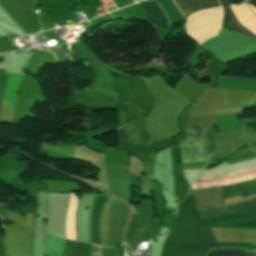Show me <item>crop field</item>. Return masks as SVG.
I'll return each instance as SVG.
<instances>
[{
    "label": "crop field",
    "instance_id": "8a807250",
    "mask_svg": "<svg viewBox=\"0 0 256 256\" xmlns=\"http://www.w3.org/2000/svg\"><path fill=\"white\" fill-rule=\"evenodd\" d=\"M179 147L183 163L206 161L215 151L214 127L187 129Z\"/></svg>",
    "mask_w": 256,
    "mask_h": 256
},
{
    "label": "crop field",
    "instance_id": "e52e79f7",
    "mask_svg": "<svg viewBox=\"0 0 256 256\" xmlns=\"http://www.w3.org/2000/svg\"><path fill=\"white\" fill-rule=\"evenodd\" d=\"M220 1V0H219ZM228 13L230 14L233 22L236 24L237 27H239L241 30H243L245 33H247L248 35L250 36H253L256 38V36H254L252 33H250L248 30H246L244 27H242L236 20V18L234 17L232 11L230 10L227 2L225 0H222ZM222 1H220L221 5H222V9H223V19H222V25L221 27L224 28V29H227V30H231V31H235V32H239V33H243L245 34L244 32H242L240 29H238L234 23L232 22L229 14L227 13Z\"/></svg>",
    "mask_w": 256,
    "mask_h": 256
},
{
    "label": "crop field",
    "instance_id": "22f410ed",
    "mask_svg": "<svg viewBox=\"0 0 256 256\" xmlns=\"http://www.w3.org/2000/svg\"><path fill=\"white\" fill-rule=\"evenodd\" d=\"M174 2V1H173ZM175 3V2H174ZM176 5V4H175ZM178 8V7H177ZM181 13V12H180ZM184 17V16H183Z\"/></svg>",
    "mask_w": 256,
    "mask_h": 256
},
{
    "label": "crop field",
    "instance_id": "ac0d7876",
    "mask_svg": "<svg viewBox=\"0 0 256 256\" xmlns=\"http://www.w3.org/2000/svg\"><path fill=\"white\" fill-rule=\"evenodd\" d=\"M125 103L133 120V123L120 127L123 141L130 143H139L143 145H152L139 106L136 103Z\"/></svg>",
    "mask_w": 256,
    "mask_h": 256
},
{
    "label": "crop field",
    "instance_id": "5a996713",
    "mask_svg": "<svg viewBox=\"0 0 256 256\" xmlns=\"http://www.w3.org/2000/svg\"><path fill=\"white\" fill-rule=\"evenodd\" d=\"M252 207H256V200L249 201V202H244V203H240V204H236V205H232V206H228L227 208L230 211H233L235 209H238V211H241V210L249 209V208H252Z\"/></svg>",
    "mask_w": 256,
    "mask_h": 256
},
{
    "label": "crop field",
    "instance_id": "dd49c442",
    "mask_svg": "<svg viewBox=\"0 0 256 256\" xmlns=\"http://www.w3.org/2000/svg\"><path fill=\"white\" fill-rule=\"evenodd\" d=\"M256 191V179L229 185L223 186V198L233 197L241 195L244 193H251Z\"/></svg>",
    "mask_w": 256,
    "mask_h": 256
},
{
    "label": "crop field",
    "instance_id": "412701ff",
    "mask_svg": "<svg viewBox=\"0 0 256 256\" xmlns=\"http://www.w3.org/2000/svg\"><path fill=\"white\" fill-rule=\"evenodd\" d=\"M140 6L144 9L147 17L152 22L153 27H169L165 14L156 2H144Z\"/></svg>",
    "mask_w": 256,
    "mask_h": 256
},
{
    "label": "crop field",
    "instance_id": "d1516ede",
    "mask_svg": "<svg viewBox=\"0 0 256 256\" xmlns=\"http://www.w3.org/2000/svg\"><path fill=\"white\" fill-rule=\"evenodd\" d=\"M226 1L228 2V4H231V3H235L243 0H226Z\"/></svg>",
    "mask_w": 256,
    "mask_h": 256
},
{
    "label": "crop field",
    "instance_id": "3316defc",
    "mask_svg": "<svg viewBox=\"0 0 256 256\" xmlns=\"http://www.w3.org/2000/svg\"><path fill=\"white\" fill-rule=\"evenodd\" d=\"M247 2L251 3L252 5H254L256 7V0H250V1H247ZM248 5L251 7V9L253 10V12L256 15V8L254 6H252V5H250V4H248Z\"/></svg>",
    "mask_w": 256,
    "mask_h": 256
},
{
    "label": "crop field",
    "instance_id": "34b2d1b8",
    "mask_svg": "<svg viewBox=\"0 0 256 256\" xmlns=\"http://www.w3.org/2000/svg\"><path fill=\"white\" fill-rule=\"evenodd\" d=\"M230 7L232 8L239 23L256 34V18L249 7L245 3L232 5Z\"/></svg>",
    "mask_w": 256,
    "mask_h": 256
},
{
    "label": "crop field",
    "instance_id": "d8731c3e",
    "mask_svg": "<svg viewBox=\"0 0 256 256\" xmlns=\"http://www.w3.org/2000/svg\"><path fill=\"white\" fill-rule=\"evenodd\" d=\"M19 75L8 74L6 81V88L3 99L7 101L12 107L14 106L16 98V89L19 81Z\"/></svg>",
    "mask_w": 256,
    "mask_h": 256
},
{
    "label": "crop field",
    "instance_id": "f4fd0767",
    "mask_svg": "<svg viewBox=\"0 0 256 256\" xmlns=\"http://www.w3.org/2000/svg\"><path fill=\"white\" fill-rule=\"evenodd\" d=\"M185 17L192 12L205 8L220 6L217 0H174Z\"/></svg>",
    "mask_w": 256,
    "mask_h": 256
},
{
    "label": "crop field",
    "instance_id": "28ad6ade",
    "mask_svg": "<svg viewBox=\"0 0 256 256\" xmlns=\"http://www.w3.org/2000/svg\"><path fill=\"white\" fill-rule=\"evenodd\" d=\"M243 129H244V132H250V131H254L255 130L251 126H244Z\"/></svg>",
    "mask_w": 256,
    "mask_h": 256
}]
</instances>
